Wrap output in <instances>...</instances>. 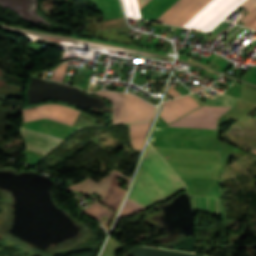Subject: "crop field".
Masks as SVG:
<instances>
[{"mask_svg":"<svg viewBox=\"0 0 256 256\" xmlns=\"http://www.w3.org/2000/svg\"><path fill=\"white\" fill-rule=\"evenodd\" d=\"M142 163L170 194L184 186L183 181H180L172 172L173 170L171 171L150 146L146 150ZM143 164H141L133 191L129 198L146 208L169 195V193Z\"/></svg>","mask_w":256,"mask_h":256,"instance_id":"obj_1","label":"crop field"},{"mask_svg":"<svg viewBox=\"0 0 256 256\" xmlns=\"http://www.w3.org/2000/svg\"><path fill=\"white\" fill-rule=\"evenodd\" d=\"M119 176H121L129 184L130 178L114 169L105 179H103L98 184L87 178L76 185L66 188L65 191L67 192L71 189L81 190L88 195L95 192L104 198L100 202L118 211L127 190V188L122 189L119 187L122 184L116 179Z\"/></svg>","mask_w":256,"mask_h":256,"instance_id":"obj_2","label":"crop field"},{"mask_svg":"<svg viewBox=\"0 0 256 256\" xmlns=\"http://www.w3.org/2000/svg\"><path fill=\"white\" fill-rule=\"evenodd\" d=\"M244 0H211L184 27L210 31Z\"/></svg>","mask_w":256,"mask_h":256,"instance_id":"obj_3","label":"crop field"},{"mask_svg":"<svg viewBox=\"0 0 256 256\" xmlns=\"http://www.w3.org/2000/svg\"><path fill=\"white\" fill-rule=\"evenodd\" d=\"M230 108L201 107L169 126L216 129V120Z\"/></svg>","mask_w":256,"mask_h":256,"instance_id":"obj_4","label":"crop field"},{"mask_svg":"<svg viewBox=\"0 0 256 256\" xmlns=\"http://www.w3.org/2000/svg\"><path fill=\"white\" fill-rule=\"evenodd\" d=\"M210 0H178L161 16L169 18L159 17L157 22H166L168 24L182 26L187 22L194 14H196L203 6H205Z\"/></svg>","mask_w":256,"mask_h":256,"instance_id":"obj_5","label":"crop field"},{"mask_svg":"<svg viewBox=\"0 0 256 256\" xmlns=\"http://www.w3.org/2000/svg\"><path fill=\"white\" fill-rule=\"evenodd\" d=\"M43 113H49V114H53V115H57V116H62V117L70 118L73 120L71 122L70 119L57 117V116H53V115H49V114H43ZM35 114H43V115H35ZM77 114H78V111H76L72 108H68V107H64V106H60V105H56V104H50V105H43V106H37V107L23 109V116L35 115V116L23 117V121L48 118V119H52V120H56V121H60V122L68 123V124H70V122H71V125H72Z\"/></svg>","mask_w":256,"mask_h":256,"instance_id":"obj_6","label":"crop field"},{"mask_svg":"<svg viewBox=\"0 0 256 256\" xmlns=\"http://www.w3.org/2000/svg\"><path fill=\"white\" fill-rule=\"evenodd\" d=\"M20 131L23 135L24 141L27 144L26 149L44 154L48 153L61 141H63V139L56 138L29 129L20 128Z\"/></svg>","mask_w":256,"mask_h":256,"instance_id":"obj_7","label":"crop field"},{"mask_svg":"<svg viewBox=\"0 0 256 256\" xmlns=\"http://www.w3.org/2000/svg\"><path fill=\"white\" fill-rule=\"evenodd\" d=\"M96 94L111 100L113 123H122L132 95L107 91Z\"/></svg>","mask_w":256,"mask_h":256,"instance_id":"obj_8","label":"crop field"},{"mask_svg":"<svg viewBox=\"0 0 256 256\" xmlns=\"http://www.w3.org/2000/svg\"><path fill=\"white\" fill-rule=\"evenodd\" d=\"M155 109H156L155 106L135 96H132V99L123 123L151 119Z\"/></svg>","mask_w":256,"mask_h":256,"instance_id":"obj_9","label":"crop field"},{"mask_svg":"<svg viewBox=\"0 0 256 256\" xmlns=\"http://www.w3.org/2000/svg\"><path fill=\"white\" fill-rule=\"evenodd\" d=\"M179 117L200 106L189 95L164 102Z\"/></svg>","mask_w":256,"mask_h":256,"instance_id":"obj_10","label":"crop field"},{"mask_svg":"<svg viewBox=\"0 0 256 256\" xmlns=\"http://www.w3.org/2000/svg\"><path fill=\"white\" fill-rule=\"evenodd\" d=\"M86 214L99 219L105 226L111 215L113 214V211L95 203L85 210H83Z\"/></svg>","mask_w":256,"mask_h":256,"instance_id":"obj_11","label":"crop field"},{"mask_svg":"<svg viewBox=\"0 0 256 256\" xmlns=\"http://www.w3.org/2000/svg\"><path fill=\"white\" fill-rule=\"evenodd\" d=\"M150 123L151 121L129 124L132 139L145 137Z\"/></svg>","mask_w":256,"mask_h":256,"instance_id":"obj_12","label":"crop field"},{"mask_svg":"<svg viewBox=\"0 0 256 256\" xmlns=\"http://www.w3.org/2000/svg\"><path fill=\"white\" fill-rule=\"evenodd\" d=\"M143 210H145L143 207L127 199L119 218L130 216Z\"/></svg>","mask_w":256,"mask_h":256,"instance_id":"obj_13","label":"crop field"},{"mask_svg":"<svg viewBox=\"0 0 256 256\" xmlns=\"http://www.w3.org/2000/svg\"><path fill=\"white\" fill-rule=\"evenodd\" d=\"M234 101H235V99L230 98V97L225 96V95L222 94L221 96L213 99L212 101H210L209 103L205 104L204 106L231 107L232 104L234 103Z\"/></svg>","mask_w":256,"mask_h":256,"instance_id":"obj_14","label":"crop field"},{"mask_svg":"<svg viewBox=\"0 0 256 256\" xmlns=\"http://www.w3.org/2000/svg\"><path fill=\"white\" fill-rule=\"evenodd\" d=\"M122 3L127 15L141 18L136 0H122Z\"/></svg>","mask_w":256,"mask_h":256,"instance_id":"obj_15","label":"crop field"},{"mask_svg":"<svg viewBox=\"0 0 256 256\" xmlns=\"http://www.w3.org/2000/svg\"><path fill=\"white\" fill-rule=\"evenodd\" d=\"M160 117L164 119L167 123L174 121L179 118L173 111H171L165 104H163Z\"/></svg>","mask_w":256,"mask_h":256,"instance_id":"obj_16","label":"crop field"},{"mask_svg":"<svg viewBox=\"0 0 256 256\" xmlns=\"http://www.w3.org/2000/svg\"><path fill=\"white\" fill-rule=\"evenodd\" d=\"M68 63V62H67ZM67 63H64L57 67L52 79L57 81H63L64 73L66 70Z\"/></svg>","mask_w":256,"mask_h":256,"instance_id":"obj_17","label":"crop field"},{"mask_svg":"<svg viewBox=\"0 0 256 256\" xmlns=\"http://www.w3.org/2000/svg\"><path fill=\"white\" fill-rule=\"evenodd\" d=\"M244 4V3H243ZM256 6V0H248L244 5L240 8L245 7L246 10L250 11L252 8ZM239 8V9H240Z\"/></svg>","mask_w":256,"mask_h":256,"instance_id":"obj_18","label":"crop field"},{"mask_svg":"<svg viewBox=\"0 0 256 256\" xmlns=\"http://www.w3.org/2000/svg\"><path fill=\"white\" fill-rule=\"evenodd\" d=\"M144 141L145 138L132 140L133 148L140 150Z\"/></svg>","mask_w":256,"mask_h":256,"instance_id":"obj_19","label":"crop field"},{"mask_svg":"<svg viewBox=\"0 0 256 256\" xmlns=\"http://www.w3.org/2000/svg\"><path fill=\"white\" fill-rule=\"evenodd\" d=\"M256 13V8H254L250 13H248L245 17H243L240 21L246 22L248 19H250L254 14Z\"/></svg>","mask_w":256,"mask_h":256,"instance_id":"obj_20","label":"crop field"},{"mask_svg":"<svg viewBox=\"0 0 256 256\" xmlns=\"http://www.w3.org/2000/svg\"><path fill=\"white\" fill-rule=\"evenodd\" d=\"M256 21V15H254L248 22L244 24V26L249 27L252 23Z\"/></svg>","mask_w":256,"mask_h":256,"instance_id":"obj_21","label":"crop field"},{"mask_svg":"<svg viewBox=\"0 0 256 256\" xmlns=\"http://www.w3.org/2000/svg\"><path fill=\"white\" fill-rule=\"evenodd\" d=\"M149 0H138L139 8L144 6Z\"/></svg>","mask_w":256,"mask_h":256,"instance_id":"obj_22","label":"crop field"},{"mask_svg":"<svg viewBox=\"0 0 256 256\" xmlns=\"http://www.w3.org/2000/svg\"><path fill=\"white\" fill-rule=\"evenodd\" d=\"M190 96H191L193 99H195L200 105L203 104V103H202L199 99H197L193 94L190 95ZM196 101H195V102H196ZM197 102H196V103H197Z\"/></svg>","mask_w":256,"mask_h":256,"instance_id":"obj_23","label":"crop field"},{"mask_svg":"<svg viewBox=\"0 0 256 256\" xmlns=\"http://www.w3.org/2000/svg\"><path fill=\"white\" fill-rule=\"evenodd\" d=\"M202 89H205V88L200 86V87H195V88L191 89V91L194 92V91L202 90Z\"/></svg>","mask_w":256,"mask_h":256,"instance_id":"obj_24","label":"crop field"},{"mask_svg":"<svg viewBox=\"0 0 256 256\" xmlns=\"http://www.w3.org/2000/svg\"><path fill=\"white\" fill-rule=\"evenodd\" d=\"M167 92H169L171 95H173L174 97H179L178 95H176L172 90H170V89H168V91ZM172 96V97H173Z\"/></svg>","mask_w":256,"mask_h":256,"instance_id":"obj_25","label":"crop field"},{"mask_svg":"<svg viewBox=\"0 0 256 256\" xmlns=\"http://www.w3.org/2000/svg\"><path fill=\"white\" fill-rule=\"evenodd\" d=\"M169 88L172 89V90H173L176 94H178L179 96H182V95H180L178 92H176L177 90L175 91L171 86H169Z\"/></svg>","mask_w":256,"mask_h":256,"instance_id":"obj_26","label":"crop field"},{"mask_svg":"<svg viewBox=\"0 0 256 256\" xmlns=\"http://www.w3.org/2000/svg\"><path fill=\"white\" fill-rule=\"evenodd\" d=\"M250 28L256 29V22L250 26Z\"/></svg>","mask_w":256,"mask_h":256,"instance_id":"obj_27","label":"crop field"},{"mask_svg":"<svg viewBox=\"0 0 256 256\" xmlns=\"http://www.w3.org/2000/svg\"><path fill=\"white\" fill-rule=\"evenodd\" d=\"M101 256H108V255H105V254H103V253H102V255H101Z\"/></svg>","mask_w":256,"mask_h":256,"instance_id":"obj_28","label":"crop field"}]
</instances>
